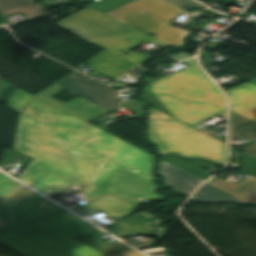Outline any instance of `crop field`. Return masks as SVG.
I'll return each instance as SVG.
<instances>
[{"instance_id":"obj_1","label":"crop field","mask_w":256,"mask_h":256,"mask_svg":"<svg viewBox=\"0 0 256 256\" xmlns=\"http://www.w3.org/2000/svg\"><path fill=\"white\" fill-rule=\"evenodd\" d=\"M14 149L34 158L17 179L47 196L82 184L93 188L89 201L108 192L131 203L159 197L148 175L155 156L35 96L20 117Z\"/></svg>"},{"instance_id":"obj_2","label":"crop field","mask_w":256,"mask_h":256,"mask_svg":"<svg viewBox=\"0 0 256 256\" xmlns=\"http://www.w3.org/2000/svg\"><path fill=\"white\" fill-rule=\"evenodd\" d=\"M54 24L105 48L85 64L96 69L89 75L100 74L113 81L136 66L135 62L139 64L152 57L129 52L134 46L148 40L163 49L170 47L90 7ZM125 53L129 55L125 56Z\"/></svg>"},{"instance_id":"obj_3","label":"crop field","mask_w":256,"mask_h":256,"mask_svg":"<svg viewBox=\"0 0 256 256\" xmlns=\"http://www.w3.org/2000/svg\"><path fill=\"white\" fill-rule=\"evenodd\" d=\"M191 67L165 78H144L140 96L156 103V110L191 126L226 110L221 90L204 74L196 60Z\"/></svg>"},{"instance_id":"obj_4","label":"crop field","mask_w":256,"mask_h":256,"mask_svg":"<svg viewBox=\"0 0 256 256\" xmlns=\"http://www.w3.org/2000/svg\"><path fill=\"white\" fill-rule=\"evenodd\" d=\"M97 229L65 211L0 234V242L26 256H105L73 236Z\"/></svg>"},{"instance_id":"obj_5","label":"crop field","mask_w":256,"mask_h":256,"mask_svg":"<svg viewBox=\"0 0 256 256\" xmlns=\"http://www.w3.org/2000/svg\"><path fill=\"white\" fill-rule=\"evenodd\" d=\"M147 137L160 154L176 152L227 164V145L184 123L149 109Z\"/></svg>"},{"instance_id":"obj_6","label":"crop field","mask_w":256,"mask_h":256,"mask_svg":"<svg viewBox=\"0 0 256 256\" xmlns=\"http://www.w3.org/2000/svg\"><path fill=\"white\" fill-rule=\"evenodd\" d=\"M64 88L81 97L67 104L51 97ZM35 96L87 122L120 108L117 90L77 71Z\"/></svg>"},{"instance_id":"obj_7","label":"crop field","mask_w":256,"mask_h":256,"mask_svg":"<svg viewBox=\"0 0 256 256\" xmlns=\"http://www.w3.org/2000/svg\"><path fill=\"white\" fill-rule=\"evenodd\" d=\"M182 11L166 0H137L106 14L148 35L156 34L155 38L175 48H182L185 47L183 38L190 32L168 25Z\"/></svg>"},{"instance_id":"obj_8","label":"crop field","mask_w":256,"mask_h":256,"mask_svg":"<svg viewBox=\"0 0 256 256\" xmlns=\"http://www.w3.org/2000/svg\"><path fill=\"white\" fill-rule=\"evenodd\" d=\"M65 211L0 172V233Z\"/></svg>"},{"instance_id":"obj_9","label":"crop field","mask_w":256,"mask_h":256,"mask_svg":"<svg viewBox=\"0 0 256 256\" xmlns=\"http://www.w3.org/2000/svg\"><path fill=\"white\" fill-rule=\"evenodd\" d=\"M162 221L145 211L104 228L120 238L133 233L162 237L165 234V228L160 226Z\"/></svg>"},{"instance_id":"obj_10","label":"crop field","mask_w":256,"mask_h":256,"mask_svg":"<svg viewBox=\"0 0 256 256\" xmlns=\"http://www.w3.org/2000/svg\"><path fill=\"white\" fill-rule=\"evenodd\" d=\"M230 110L256 122V85L245 83L227 91Z\"/></svg>"},{"instance_id":"obj_11","label":"crop field","mask_w":256,"mask_h":256,"mask_svg":"<svg viewBox=\"0 0 256 256\" xmlns=\"http://www.w3.org/2000/svg\"><path fill=\"white\" fill-rule=\"evenodd\" d=\"M160 166V173L166 179V185L184 191L187 197L190 196L197 185L204 181L165 161H160Z\"/></svg>"},{"instance_id":"obj_12","label":"crop field","mask_w":256,"mask_h":256,"mask_svg":"<svg viewBox=\"0 0 256 256\" xmlns=\"http://www.w3.org/2000/svg\"><path fill=\"white\" fill-rule=\"evenodd\" d=\"M230 133L232 138L246 137L251 138L255 142L241 149L256 158V123L230 111Z\"/></svg>"},{"instance_id":"obj_13","label":"crop field","mask_w":256,"mask_h":256,"mask_svg":"<svg viewBox=\"0 0 256 256\" xmlns=\"http://www.w3.org/2000/svg\"><path fill=\"white\" fill-rule=\"evenodd\" d=\"M88 204L118 220L139 208L111 193L101 196Z\"/></svg>"},{"instance_id":"obj_14","label":"crop field","mask_w":256,"mask_h":256,"mask_svg":"<svg viewBox=\"0 0 256 256\" xmlns=\"http://www.w3.org/2000/svg\"><path fill=\"white\" fill-rule=\"evenodd\" d=\"M208 183L250 203L256 204V177L236 185L214 177Z\"/></svg>"},{"instance_id":"obj_15","label":"crop field","mask_w":256,"mask_h":256,"mask_svg":"<svg viewBox=\"0 0 256 256\" xmlns=\"http://www.w3.org/2000/svg\"><path fill=\"white\" fill-rule=\"evenodd\" d=\"M104 234L106 233L101 230L91 231L76 238L107 256L131 249L119 241L111 243L108 240L100 237Z\"/></svg>"},{"instance_id":"obj_16","label":"crop field","mask_w":256,"mask_h":256,"mask_svg":"<svg viewBox=\"0 0 256 256\" xmlns=\"http://www.w3.org/2000/svg\"><path fill=\"white\" fill-rule=\"evenodd\" d=\"M192 199L203 203L232 200L238 204H248L208 183L200 187Z\"/></svg>"},{"instance_id":"obj_17","label":"crop field","mask_w":256,"mask_h":256,"mask_svg":"<svg viewBox=\"0 0 256 256\" xmlns=\"http://www.w3.org/2000/svg\"><path fill=\"white\" fill-rule=\"evenodd\" d=\"M191 174H194L202 179H208L210 176V174L202 171L205 167H203L204 165H206V162L204 161H193V162H186L184 161L182 158H180L179 156H177L176 154L173 155H168V156H164L163 158H161Z\"/></svg>"},{"instance_id":"obj_18","label":"crop field","mask_w":256,"mask_h":256,"mask_svg":"<svg viewBox=\"0 0 256 256\" xmlns=\"http://www.w3.org/2000/svg\"><path fill=\"white\" fill-rule=\"evenodd\" d=\"M79 1L82 3H85L90 0H79ZM133 1H135V0H100V1L93 3L89 6L105 13L107 11L119 8V7L126 5Z\"/></svg>"},{"instance_id":"obj_19","label":"crop field","mask_w":256,"mask_h":256,"mask_svg":"<svg viewBox=\"0 0 256 256\" xmlns=\"http://www.w3.org/2000/svg\"><path fill=\"white\" fill-rule=\"evenodd\" d=\"M33 95L19 89L18 92L14 95L13 99L8 103L7 107L21 113L22 109L28 103L30 98Z\"/></svg>"},{"instance_id":"obj_20","label":"crop field","mask_w":256,"mask_h":256,"mask_svg":"<svg viewBox=\"0 0 256 256\" xmlns=\"http://www.w3.org/2000/svg\"><path fill=\"white\" fill-rule=\"evenodd\" d=\"M32 5L31 0H0V12L4 13Z\"/></svg>"},{"instance_id":"obj_21","label":"crop field","mask_w":256,"mask_h":256,"mask_svg":"<svg viewBox=\"0 0 256 256\" xmlns=\"http://www.w3.org/2000/svg\"><path fill=\"white\" fill-rule=\"evenodd\" d=\"M40 9H42L41 5L32 6V7L16 10V11L4 13L3 16L6 17V16L18 14V13H25L27 18L30 19V18L43 15V11H40Z\"/></svg>"},{"instance_id":"obj_22","label":"crop field","mask_w":256,"mask_h":256,"mask_svg":"<svg viewBox=\"0 0 256 256\" xmlns=\"http://www.w3.org/2000/svg\"><path fill=\"white\" fill-rule=\"evenodd\" d=\"M18 89L19 88L0 79V97L6 101L9 102Z\"/></svg>"},{"instance_id":"obj_23","label":"crop field","mask_w":256,"mask_h":256,"mask_svg":"<svg viewBox=\"0 0 256 256\" xmlns=\"http://www.w3.org/2000/svg\"><path fill=\"white\" fill-rule=\"evenodd\" d=\"M242 170L245 173H256V159L242 153Z\"/></svg>"},{"instance_id":"obj_24","label":"crop field","mask_w":256,"mask_h":256,"mask_svg":"<svg viewBox=\"0 0 256 256\" xmlns=\"http://www.w3.org/2000/svg\"><path fill=\"white\" fill-rule=\"evenodd\" d=\"M71 210L82 215V216L99 211L98 209H96L88 204L71 209Z\"/></svg>"},{"instance_id":"obj_25","label":"crop field","mask_w":256,"mask_h":256,"mask_svg":"<svg viewBox=\"0 0 256 256\" xmlns=\"http://www.w3.org/2000/svg\"><path fill=\"white\" fill-rule=\"evenodd\" d=\"M0 252L8 255V256H19V255H22L14 250H12L11 248L3 245L0 243Z\"/></svg>"},{"instance_id":"obj_26","label":"crop field","mask_w":256,"mask_h":256,"mask_svg":"<svg viewBox=\"0 0 256 256\" xmlns=\"http://www.w3.org/2000/svg\"><path fill=\"white\" fill-rule=\"evenodd\" d=\"M112 256H143L141 254H139L137 251H135L134 249L122 252V253H118Z\"/></svg>"},{"instance_id":"obj_27","label":"crop field","mask_w":256,"mask_h":256,"mask_svg":"<svg viewBox=\"0 0 256 256\" xmlns=\"http://www.w3.org/2000/svg\"><path fill=\"white\" fill-rule=\"evenodd\" d=\"M249 82H252V83L256 84V78H254L253 80H251V81H249ZM252 83H251V84H252Z\"/></svg>"},{"instance_id":"obj_28","label":"crop field","mask_w":256,"mask_h":256,"mask_svg":"<svg viewBox=\"0 0 256 256\" xmlns=\"http://www.w3.org/2000/svg\"><path fill=\"white\" fill-rule=\"evenodd\" d=\"M0 256H6V255H4V254L0 253Z\"/></svg>"},{"instance_id":"obj_29","label":"crop field","mask_w":256,"mask_h":256,"mask_svg":"<svg viewBox=\"0 0 256 256\" xmlns=\"http://www.w3.org/2000/svg\"><path fill=\"white\" fill-rule=\"evenodd\" d=\"M22 256H24V255H22Z\"/></svg>"}]
</instances>
